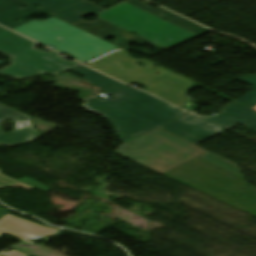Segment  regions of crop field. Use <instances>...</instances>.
<instances>
[{
	"label": "crop field",
	"instance_id": "obj_17",
	"mask_svg": "<svg viewBox=\"0 0 256 256\" xmlns=\"http://www.w3.org/2000/svg\"><path fill=\"white\" fill-rule=\"evenodd\" d=\"M0 254H2V255H4V256H28V255H25V254L20 253V252H18V251H15V250L10 251V252H8V253L2 252V253H0Z\"/></svg>",
	"mask_w": 256,
	"mask_h": 256
},
{
	"label": "crop field",
	"instance_id": "obj_4",
	"mask_svg": "<svg viewBox=\"0 0 256 256\" xmlns=\"http://www.w3.org/2000/svg\"><path fill=\"white\" fill-rule=\"evenodd\" d=\"M13 30L48 47L54 46L55 50L70 54L83 63L117 48L54 17L42 22L33 20Z\"/></svg>",
	"mask_w": 256,
	"mask_h": 256
},
{
	"label": "crop field",
	"instance_id": "obj_15",
	"mask_svg": "<svg viewBox=\"0 0 256 256\" xmlns=\"http://www.w3.org/2000/svg\"><path fill=\"white\" fill-rule=\"evenodd\" d=\"M18 185V186H21L25 189H33V188H37L41 191H44V192H47L49 190H51L50 188H48L47 186L35 181V180H32L28 177H25L23 179H20V180H15L13 178H10L8 176H5L3 174H1V171H0V188H4V187H8V186H12V185Z\"/></svg>",
	"mask_w": 256,
	"mask_h": 256
},
{
	"label": "crop field",
	"instance_id": "obj_1",
	"mask_svg": "<svg viewBox=\"0 0 256 256\" xmlns=\"http://www.w3.org/2000/svg\"><path fill=\"white\" fill-rule=\"evenodd\" d=\"M116 153L256 216V189L235 164L161 129Z\"/></svg>",
	"mask_w": 256,
	"mask_h": 256
},
{
	"label": "crop field",
	"instance_id": "obj_16",
	"mask_svg": "<svg viewBox=\"0 0 256 256\" xmlns=\"http://www.w3.org/2000/svg\"><path fill=\"white\" fill-rule=\"evenodd\" d=\"M238 81L246 83L248 85L253 86V90L237 99L236 101L252 108L256 106V77L254 76H245Z\"/></svg>",
	"mask_w": 256,
	"mask_h": 256
},
{
	"label": "crop field",
	"instance_id": "obj_19",
	"mask_svg": "<svg viewBox=\"0 0 256 256\" xmlns=\"http://www.w3.org/2000/svg\"><path fill=\"white\" fill-rule=\"evenodd\" d=\"M0 209H2V208H0ZM2 210H4V211L8 212V210H5V209H2Z\"/></svg>",
	"mask_w": 256,
	"mask_h": 256
},
{
	"label": "crop field",
	"instance_id": "obj_2",
	"mask_svg": "<svg viewBox=\"0 0 256 256\" xmlns=\"http://www.w3.org/2000/svg\"><path fill=\"white\" fill-rule=\"evenodd\" d=\"M72 71L85 75L84 80L114 97L109 101L90 98L83 106L105 116L119 132L123 142L132 138L136 139L135 137L155 127L159 129L186 113L87 67L81 66Z\"/></svg>",
	"mask_w": 256,
	"mask_h": 256
},
{
	"label": "crop field",
	"instance_id": "obj_11",
	"mask_svg": "<svg viewBox=\"0 0 256 256\" xmlns=\"http://www.w3.org/2000/svg\"><path fill=\"white\" fill-rule=\"evenodd\" d=\"M199 118L226 129L231 128L235 123L239 122L245 124L247 128L256 132V111H253L237 102L223 108L222 112L214 117Z\"/></svg>",
	"mask_w": 256,
	"mask_h": 256
},
{
	"label": "crop field",
	"instance_id": "obj_14",
	"mask_svg": "<svg viewBox=\"0 0 256 256\" xmlns=\"http://www.w3.org/2000/svg\"><path fill=\"white\" fill-rule=\"evenodd\" d=\"M127 3L135 5L147 12H150V13L160 17V18L166 19L167 21H169L173 24H176L180 27H183L198 36L210 31L204 27H201V26L194 24L190 21H187V20H185V19H183V18H181L163 8L158 7L155 9H150V8L144 6L139 0H129V1H127Z\"/></svg>",
	"mask_w": 256,
	"mask_h": 256
},
{
	"label": "crop field",
	"instance_id": "obj_18",
	"mask_svg": "<svg viewBox=\"0 0 256 256\" xmlns=\"http://www.w3.org/2000/svg\"><path fill=\"white\" fill-rule=\"evenodd\" d=\"M4 214H6V213L0 211V217L3 216Z\"/></svg>",
	"mask_w": 256,
	"mask_h": 256
},
{
	"label": "crop field",
	"instance_id": "obj_13",
	"mask_svg": "<svg viewBox=\"0 0 256 256\" xmlns=\"http://www.w3.org/2000/svg\"><path fill=\"white\" fill-rule=\"evenodd\" d=\"M27 5L19 0H0V24L13 29L24 24V22H14L16 18L32 15L40 10L27 5L28 8L19 9L20 6Z\"/></svg>",
	"mask_w": 256,
	"mask_h": 256
},
{
	"label": "crop field",
	"instance_id": "obj_6",
	"mask_svg": "<svg viewBox=\"0 0 256 256\" xmlns=\"http://www.w3.org/2000/svg\"><path fill=\"white\" fill-rule=\"evenodd\" d=\"M98 16L166 49L197 37L176 25L161 21L160 18L127 3Z\"/></svg>",
	"mask_w": 256,
	"mask_h": 256
},
{
	"label": "crop field",
	"instance_id": "obj_12",
	"mask_svg": "<svg viewBox=\"0 0 256 256\" xmlns=\"http://www.w3.org/2000/svg\"><path fill=\"white\" fill-rule=\"evenodd\" d=\"M75 26L80 27V28H82L90 33H93L97 36H100L102 38H105V37H108L111 35H118L119 39L116 42H114V44L121 46L127 50H130V49H128V42H140V43L152 44L154 46H157L155 48H162V47L155 45L149 41H146L138 36L131 40L124 39L120 36V33H121V31H123V29H121L115 25H112L104 20H101V19H98L97 21H93V22L82 21V22L76 24Z\"/></svg>",
	"mask_w": 256,
	"mask_h": 256
},
{
	"label": "crop field",
	"instance_id": "obj_9",
	"mask_svg": "<svg viewBox=\"0 0 256 256\" xmlns=\"http://www.w3.org/2000/svg\"><path fill=\"white\" fill-rule=\"evenodd\" d=\"M6 118H11L16 123L15 131L6 135H3L0 125V144L8 147L18 145L21 143H27L40 136L30 124V117L20 114L2 104H0V121Z\"/></svg>",
	"mask_w": 256,
	"mask_h": 256
},
{
	"label": "crop field",
	"instance_id": "obj_3",
	"mask_svg": "<svg viewBox=\"0 0 256 256\" xmlns=\"http://www.w3.org/2000/svg\"><path fill=\"white\" fill-rule=\"evenodd\" d=\"M137 61L146 65L143 68H138ZM87 65L127 84L142 83L148 92L176 106L181 107L189 101L183 95L192 85V81L163 68L153 70L156 68L155 64L146 60L133 59L127 51L121 48L95 59ZM151 74L153 76H150Z\"/></svg>",
	"mask_w": 256,
	"mask_h": 256
},
{
	"label": "crop field",
	"instance_id": "obj_7",
	"mask_svg": "<svg viewBox=\"0 0 256 256\" xmlns=\"http://www.w3.org/2000/svg\"><path fill=\"white\" fill-rule=\"evenodd\" d=\"M27 4H39L42 9L66 22L76 24L82 21V18L91 15L99 14L105 9L91 4L85 0H21Z\"/></svg>",
	"mask_w": 256,
	"mask_h": 256
},
{
	"label": "crop field",
	"instance_id": "obj_10",
	"mask_svg": "<svg viewBox=\"0 0 256 256\" xmlns=\"http://www.w3.org/2000/svg\"><path fill=\"white\" fill-rule=\"evenodd\" d=\"M57 231V229L43 227L10 214L5 215L0 220V236L1 234L13 235L32 245L35 244L28 240L41 236L54 235Z\"/></svg>",
	"mask_w": 256,
	"mask_h": 256
},
{
	"label": "crop field",
	"instance_id": "obj_8",
	"mask_svg": "<svg viewBox=\"0 0 256 256\" xmlns=\"http://www.w3.org/2000/svg\"><path fill=\"white\" fill-rule=\"evenodd\" d=\"M163 129L196 144L223 131L222 128L199 119L191 113L163 127Z\"/></svg>",
	"mask_w": 256,
	"mask_h": 256
},
{
	"label": "crop field",
	"instance_id": "obj_20",
	"mask_svg": "<svg viewBox=\"0 0 256 256\" xmlns=\"http://www.w3.org/2000/svg\"><path fill=\"white\" fill-rule=\"evenodd\" d=\"M253 109H255V110H256V107H254Z\"/></svg>",
	"mask_w": 256,
	"mask_h": 256
},
{
	"label": "crop field",
	"instance_id": "obj_5",
	"mask_svg": "<svg viewBox=\"0 0 256 256\" xmlns=\"http://www.w3.org/2000/svg\"><path fill=\"white\" fill-rule=\"evenodd\" d=\"M36 46L37 44L0 27V52L12 57V64L0 69V75H10L15 79L43 72L57 75L80 65L75 61L61 59L56 52L37 50Z\"/></svg>",
	"mask_w": 256,
	"mask_h": 256
}]
</instances>
